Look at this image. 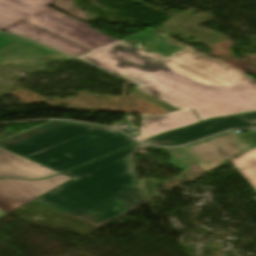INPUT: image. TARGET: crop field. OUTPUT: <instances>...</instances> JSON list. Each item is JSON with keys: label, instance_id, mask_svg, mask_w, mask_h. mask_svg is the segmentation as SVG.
<instances>
[{"label": "crop field", "instance_id": "obj_1", "mask_svg": "<svg viewBox=\"0 0 256 256\" xmlns=\"http://www.w3.org/2000/svg\"><path fill=\"white\" fill-rule=\"evenodd\" d=\"M142 41L153 46L143 51ZM77 58L138 83L130 95L167 112L192 108L203 121L256 111L255 79L155 29Z\"/></svg>", "mask_w": 256, "mask_h": 256}, {"label": "crop field", "instance_id": "obj_2", "mask_svg": "<svg viewBox=\"0 0 256 256\" xmlns=\"http://www.w3.org/2000/svg\"><path fill=\"white\" fill-rule=\"evenodd\" d=\"M146 148L138 144L65 172L73 179L34 200L99 228L148 202L133 158Z\"/></svg>", "mask_w": 256, "mask_h": 256}, {"label": "crop field", "instance_id": "obj_3", "mask_svg": "<svg viewBox=\"0 0 256 256\" xmlns=\"http://www.w3.org/2000/svg\"><path fill=\"white\" fill-rule=\"evenodd\" d=\"M135 143L113 129L51 121L0 140V147L62 173Z\"/></svg>", "mask_w": 256, "mask_h": 256}, {"label": "crop field", "instance_id": "obj_4", "mask_svg": "<svg viewBox=\"0 0 256 256\" xmlns=\"http://www.w3.org/2000/svg\"><path fill=\"white\" fill-rule=\"evenodd\" d=\"M23 20L90 50L118 41L49 7Z\"/></svg>", "mask_w": 256, "mask_h": 256}, {"label": "crop field", "instance_id": "obj_5", "mask_svg": "<svg viewBox=\"0 0 256 256\" xmlns=\"http://www.w3.org/2000/svg\"><path fill=\"white\" fill-rule=\"evenodd\" d=\"M252 148L251 144L230 131L180 149L203 171H209Z\"/></svg>", "mask_w": 256, "mask_h": 256}, {"label": "crop field", "instance_id": "obj_6", "mask_svg": "<svg viewBox=\"0 0 256 256\" xmlns=\"http://www.w3.org/2000/svg\"><path fill=\"white\" fill-rule=\"evenodd\" d=\"M231 128H256V113L220 118L200 123L193 127L159 135L145 143L162 146L181 145Z\"/></svg>", "mask_w": 256, "mask_h": 256}, {"label": "crop field", "instance_id": "obj_7", "mask_svg": "<svg viewBox=\"0 0 256 256\" xmlns=\"http://www.w3.org/2000/svg\"><path fill=\"white\" fill-rule=\"evenodd\" d=\"M69 179L71 177L63 174L39 181L1 179L0 217L67 182Z\"/></svg>", "mask_w": 256, "mask_h": 256}, {"label": "crop field", "instance_id": "obj_8", "mask_svg": "<svg viewBox=\"0 0 256 256\" xmlns=\"http://www.w3.org/2000/svg\"><path fill=\"white\" fill-rule=\"evenodd\" d=\"M1 30L7 31L12 34L25 36L72 57L90 51L23 20H20Z\"/></svg>", "mask_w": 256, "mask_h": 256}, {"label": "crop field", "instance_id": "obj_9", "mask_svg": "<svg viewBox=\"0 0 256 256\" xmlns=\"http://www.w3.org/2000/svg\"><path fill=\"white\" fill-rule=\"evenodd\" d=\"M141 115L143 119L141 127H139V133L141 136L135 137L140 141H143L157 134L199 122L198 118L195 116L192 110L167 113L163 115Z\"/></svg>", "mask_w": 256, "mask_h": 256}, {"label": "crop field", "instance_id": "obj_10", "mask_svg": "<svg viewBox=\"0 0 256 256\" xmlns=\"http://www.w3.org/2000/svg\"><path fill=\"white\" fill-rule=\"evenodd\" d=\"M55 174L58 173L0 148V178L37 179Z\"/></svg>", "mask_w": 256, "mask_h": 256}, {"label": "crop field", "instance_id": "obj_11", "mask_svg": "<svg viewBox=\"0 0 256 256\" xmlns=\"http://www.w3.org/2000/svg\"><path fill=\"white\" fill-rule=\"evenodd\" d=\"M54 1L55 0H0V29L48 7Z\"/></svg>", "mask_w": 256, "mask_h": 256}, {"label": "crop field", "instance_id": "obj_12", "mask_svg": "<svg viewBox=\"0 0 256 256\" xmlns=\"http://www.w3.org/2000/svg\"><path fill=\"white\" fill-rule=\"evenodd\" d=\"M57 54L24 39H19L0 49L1 61L36 59Z\"/></svg>", "mask_w": 256, "mask_h": 256}, {"label": "crop field", "instance_id": "obj_13", "mask_svg": "<svg viewBox=\"0 0 256 256\" xmlns=\"http://www.w3.org/2000/svg\"><path fill=\"white\" fill-rule=\"evenodd\" d=\"M236 169L248 167L256 162V148L230 160Z\"/></svg>", "mask_w": 256, "mask_h": 256}, {"label": "crop field", "instance_id": "obj_14", "mask_svg": "<svg viewBox=\"0 0 256 256\" xmlns=\"http://www.w3.org/2000/svg\"><path fill=\"white\" fill-rule=\"evenodd\" d=\"M238 171L247 180V182L256 190V165ZM252 199L256 200V197Z\"/></svg>", "mask_w": 256, "mask_h": 256}, {"label": "crop field", "instance_id": "obj_15", "mask_svg": "<svg viewBox=\"0 0 256 256\" xmlns=\"http://www.w3.org/2000/svg\"><path fill=\"white\" fill-rule=\"evenodd\" d=\"M16 39H19V38L0 33V47L6 45ZM0 64H1V62H0Z\"/></svg>", "mask_w": 256, "mask_h": 256}, {"label": "crop field", "instance_id": "obj_16", "mask_svg": "<svg viewBox=\"0 0 256 256\" xmlns=\"http://www.w3.org/2000/svg\"><path fill=\"white\" fill-rule=\"evenodd\" d=\"M241 136L256 147V131H250Z\"/></svg>", "mask_w": 256, "mask_h": 256}]
</instances>
